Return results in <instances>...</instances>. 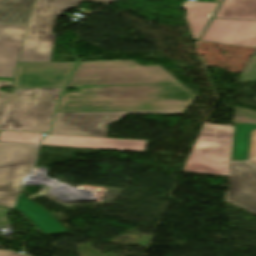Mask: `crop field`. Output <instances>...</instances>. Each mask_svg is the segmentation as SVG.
I'll return each instance as SVG.
<instances>
[{
  "label": "crop field",
  "mask_w": 256,
  "mask_h": 256,
  "mask_svg": "<svg viewBox=\"0 0 256 256\" xmlns=\"http://www.w3.org/2000/svg\"><path fill=\"white\" fill-rule=\"evenodd\" d=\"M227 201L256 213V168L248 162H231Z\"/></svg>",
  "instance_id": "obj_10"
},
{
  "label": "crop field",
  "mask_w": 256,
  "mask_h": 256,
  "mask_svg": "<svg viewBox=\"0 0 256 256\" xmlns=\"http://www.w3.org/2000/svg\"><path fill=\"white\" fill-rule=\"evenodd\" d=\"M86 2H94V3H102V4H106L112 0H84Z\"/></svg>",
  "instance_id": "obj_21"
},
{
  "label": "crop field",
  "mask_w": 256,
  "mask_h": 256,
  "mask_svg": "<svg viewBox=\"0 0 256 256\" xmlns=\"http://www.w3.org/2000/svg\"><path fill=\"white\" fill-rule=\"evenodd\" d=\"M12 82L0 81V86L11 87ZM61 88L14 89L13 94L0 92V130L48 132Z\"/></svg>",
  "instance_id": "obj_2"
},
{
  "label": "crop field",
  "mask_w": 256,
  "mask_h": 256,
  "mask_svg": "<svg viewBox=\"0 0 256 256\" xmlns=\"http://www.w3.org/2000/svg\"><path fill=\"white\" fill-rule=\"evenodd\" d=\"M215 18L256 19V0H224Z\"/></svg>",
  "instance_id": "obj_16"
},
{
  "label": "crop field",
  "mask_w": 256,
  "mask_h": 256,
  "mask_svg": "<svg viewBox=\"0 0 256 256\" xmlns=\"http://www.w3.org/2000/svg\"><path fill=\"white\" fill-rule=\"evenodd\" d=\"M256 158V130L252 131L249 159Z\"/></svg>",
  "instance_id": "obj_19"
},
{
  "label": "crop field",
  "mask_w": 256,
  "mask_h": 256,
  "mask_svg": "<svg viewBox=\"0 0 256 256\" xmlns=\"http://www.w3.org/2000/svg\"><path fill=\"white\" fill-rule=\"evenodd\" d=\"M148 141L49 135L41 145L144 152Z\"/></svg>",
  "instance_id": "obj_12"
},
{
  "label": "crop field",
  "mask_w": 256,
  "mask_h": 256,
  "mask_svg": "<svg viewBox=\"0 0 256 256\" xmlns=\"http://www.w3.org/2000/svg\"><path fill=\"white\" fill-rule=\"evenodd\" d=\"M0 256H24V255L17 254L13 251H2V250H0Z\"/></svg>",
  "instance_id": "obj_20"
},
{
  "label": "crop field",
  "mask_w": 256,
  "mask_h": 256,
  "mask_svg": "<svg viewBox=\"0 0 256 256\" xmlns=\"http://www.w3.org/2000/svg\"><path fill=\"white\" fill-rule=\"evenodd\" d=\"M76 62L19 63L12 88L62 87Z\"/></svg>",
  "instance_id": "obj_8"
},
{
  "label": "crop field",
  "mask_w": 256,
  "mask_h": 256,
  "mask_svg": "<svg viewBox=\"0 0 256 256\" xmlns=\"http://www.w3.org/2000/svg\"><path fill=\"white\" fill-rule=\"evenodd\" d=\"M232 132L233 127L205 124L183 171L228 176Z\"/></svg>",
  "instance_id": "obj_5"
},
{
  "label": "crop field",
  "mask_w": 256,
  "mask_h": 256,
  "mask_svg": "<svg viewBox=\"0 0 256 256\" xmlns=\"http://www.w3.org/2000/svg\"><path fill=\"white\" fill-rule=\"evenodd\" d=\"M162 113L183 111L56 113L50 134L107 137V127L125 114Z\"/></svg>",
  "instance_id": "obj_7"
},
{
  "label": "crop field",
  "mask_w": 256,
  "mask_h": 256,
  "mask_svg": "<svg viewBox=\"0 0 256 256\" xmlns=\"http://www.w3.org/2000/svg\"><path fill=\"white\" fill-rule=\"evenodd\" d=\"M218 5L219 3L208 2L183 3L182 7L187 10L185 17L195 41H198Z\"/></svg>",
  "instance_id": "obj_14"
},
{
  "label": "crop field",
  "mask_w": 256,
  "mask_h": 256,
  "mask_svg": "<svg viewBox=\"0 0 256 256\" xmlns=\"http://www.w3.org/2000/svg\"><path fill=\"white\" fill-rule=\"evenodd\" d=\"M80 0H36L19 62H50L56 36V16Z\"/></svg>",
  "instance_id": "obj_4"
},
{
  "label": "crop field",
  "mask_w": 256,
  "mask_h": 256,
  "mask_svg": "<svg viewBox=\"0 0 256 256\" xmlns=\"http://www.w3.org/2000/svg\"><path fill=\"white\" fill-rule=\"evenodd\" d=\"M255 54H256V51H255Z\"/></svg>",
  "instance_id": "obj_23"
},
{
  "label": "crop field",
  "mask_w": 256,
  "mask_h": 256,
  "mask_svg": "<svg viewBox=\"0 0 256 256\" xmlns=\"http://www.w3.org/2000/svg\"><path fill=\"white\" fill-rule=\"evenodd\" d=\"M27 28L0 24V80L13 81Z\"/></svg>",
  "instance_id": "obj_11"
},
{
  "label": "crop field",
  "mask_w": 256,
  "mask_h": 256,
  "mask_svg": "<svg viewBox=\"0 0 256 256\" xmlns=\"http://www.w3.org/2000/svg\"><path fill=\"white\" fill-rule=\"evenodd\" d=\"M16 209L20 210L44 234L65 232L66 229L41 206L20 195Z\"/></svg>",
  "instance_id": "obj_13"
},
{
  "label": "crop field",
  "mask_w": 256,
  "mask_h": 256,
  "mask_svg": "<svg viewBox=\"0 0 256 256\" xmlns=\"http://www.w3.org/2000/svg\"><path fill=\"white\" fill-rule=\"evenodd\" d=\"M195 96L181 84L79 88L56 112L186 110Z\"/></svg>",
  "instance_id": "obj_1"
},
{
  "label": "crop field",
  "mask_w": 256,
  "mask_h": 256,
  "mask_svg": "<svg viewBox=\"0 0 256 256\" xmlns=\"http://www.w3.org/2000/svg\"><path fill=\"white\" fill-rule=\"evenodd\" d=\"M41 135L37 133L0 131V141L37 144L43 137Z\"/></svg>",
  "instance_id": "obj_18"
},
{
  "label": "crop field",
  "mask_w": 256,
  "mask_h": 256,
  "mask_svg": "<svg viewBox=\"0 0 256 256\" xmlns=\"http://www.w3.org/2000/svg\"><path fill=\"white\" fill-rule=\"evenodd\" d=\"M251 162H253L254 164H256V159H255V160H252Z\"/></svg>",
  "instance_id": "obj_22"
},
{
  "label": "crop field",
  "mask_w": 256,
  "mask_h": 256,
  "mask_svg": "<svg viewBox=\"0 0 256 256\" xmlns=\"http://www.w3.org/2000/svg\"><path fill=\"white\" fill-rule=\"evenodd\" d=\"M37 147L0 143V205L12 208L24 175L30 171Z\"/></svg>",
  "instance_id": "obj_6"
},
{
  "label": "crop field",
  "mask_w": 256,
  "mask_h": 256,
  "mask_svg": "<svg viewBox=\"0 0 256 256\" xmlns=\"http://www.w3.org/2000/svg\"><path fill=\"white\" fill-rule=\"evenodd\" d=\"M253 124H235L231 160H247L250 131L255 129Z\"/></svg>",
  "instance_id": "obj_17"
},
{
  "label": "crop field",
  "mask_w": 256,
  "mask_h": 256,
  "mask_svg": "<svg viewBox=\"0 0 256 256\" xmlns=\"http://www.w3.org/2000/svg\"><path fill=\"white\" fill-rule=\"evenodd\" d=\"M179 83L160 67L135 62L79 63L66 87Z\"/></svg>",
  "instance_id": "obj_3"
},
{
  "label": "crop field",
  "mask_w": 256,
  "mask_h": 256,
  "mask_svg": "<svg viewBox=\"0 0 256 256\" xmlns=\"http://www.w3.org/2000/svg\"><path fill=\"white\" fill-rule=\"evenodd\" d=\"M35 0H0V23L28 25Z\"/></svg>",
  "instance_id": "obj_15"
},
{
  "label": "crop field",
  "mask_w": 256,
  "mask_h": 256,
  "mask_svg": "<svg viewBox=\"0 0 256 256\" xmlns=\"http://www.w3.org/2000/svg\"><path fill=\"white\" fill-rule=\"evenodd\" d=\"M201 41L256 47V21L213 19Z\"/></svg>",
  "instance_id": "obj_9"
}]
</instances>
